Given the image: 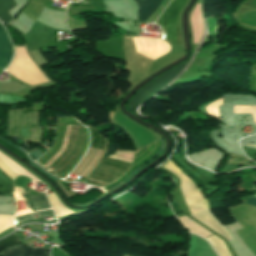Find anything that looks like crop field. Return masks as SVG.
<instances>
[{
  "mask_svg": "<svg viewBox=\"0 0 256 256\" xmlns=\"http://www.w3.org/2000/svg\"><path fill=\"white\" fill-rule=\"evenodd\" d=\"M191 235L189 256H217L208 242L198 236Z\"/></svg>",
  "mask_w": 256,
  "mask_h": 256,
  "instance_id": "obj_2",
  "label": "crop field"
},
{
  "mask_svg": "<svg viewBox=\"0 0 256 256\" xmlns=\"http://www.w3.org/2000/svg\"><path fill=\"white\" fill-rule=\"evenodd\" d=\"M234 113H251L256 122V107L253 106H235Z\"/></svg>",
  "mask_w": 256,
  "mask_h": 256,
  "instance_id": "obj_12",
  "label": "crop field"
},
{
  "mask_svg": "<svg viewBox=\"0 0 256 256\" xmlns=\"http://www.w3.org/2000/svg\"><path fill=\"white\" fill-rule=\"evenodd\" d=\"M11 57V47L9 40L0 25V67L5 68Z\"/></svg>",
  "mask_w": 256,
  "mask_h": 256,
  "instance_id": "obj_6",
  "label": "crop field"
},
{
  "mask_svg": "<svg viewBox=\"0 0 256 256\" xmlns=\"http://www.w3.org/2000/svg\"><path fill=\"white\" fill-rule=\"evenodd\" d=\"M7 11L10 10L12 7H14L16 3L14 0H2ZM2 1L0 0V21L5 22L6 24L10 22L12 19L8 12L6 11Z\"/></svg>",
  "mask_w": 256,
  "mask_h": 256,
  "instance_id": "obj_7",
  "label": "crop field"
},
{
  "mask_svg": "<svg viewBox=\"0 0 256 256\" xmlns=\"http://www.w3.org/2000/svg\"><path fill=\"white\" fill-rule=\"evenodd\" d=\"M186 0H172L167 9L161 15L156 23L162 29H166V40L180 44V36L178 30V15L185 5Z\"/></svg>",
  "mask_w": 256,
  "mask_h": 256,
  "instance_id": "obj_1",
  "label": "crop field"
},
{
  "mask_svg": "<svg viewBox=\"0 0 256 256\" xmlns=\"http://www.w3.org/2000/svg\"><path fill=\"white\" fill-rule=\"evenodd\" d=\"M18 243H21V242L14 233L11 236H9V237L0 241V252L3 249L8 248V247L13 246V245H16Z\"/></svg>",
  "mask_w": 256,
  "mask_h": 256,
  "instance_id": "obj_11",
  "label": "crop field"
},
{
  "mask_svg": "<svg viewBox=\"0 0 256 256\" xmlns=\"http://www.w3.org/2000/svg\"><path fill=\"white\" fill-rule=\"evenodd\" d=\"M36 215H38V217L54 216L53 210H50V211H44V212H39V213H30V214H26V215L17 216V217H15V220H16V222L20 223V222L27 221L30 219H35L34 216H36Z\"/></svg>",
  "mask_w": 256,
  "mask_h": 256,
  "instance_id": "obj_10",
  "label": "crop field"
},
{
  "mask_svg": "<svg viewBox=\"0 0 256 256\" xmlns=\"http://www.w3.org/2000/svg\"><path fill=\"white\" fill-rule=\"evenodd\" d=\"M247 146H251V147H255L256 148V146H253V145H249V144H246Z\"/></svg>",
  "mask_w": 256,
  "mask_h": 256,
  "instance_id": "obj_15",
  "label": "crop field"
},
{
  "mask_svg": "<svg viewBox=\"0 0 256 256\" xmlns=\"http://www.w3.org/2000/svg\"><path fill=\"white\" fill-rule=\"evenodd\" d=\"M138 10H137V20L144 21L147 19L152 12L155 10V8L158 6V4L161 2V0H132Z\"/></svg>",
  "mask_w": 256,
  "mask_h": 256,
  "instance_id": "obj_5",
  "label": "crop field"
},
{
  "mask_svg": "<svg viewBox=\"0 0 256 256\" xmlns=\"http://www.w3.org/2000/svg\"><path fill=\"white\" fill-rule=\"evenodd\" d=\"M29 197H30L36 211L51 208L49 206L48 201L44 194L43 195H33V196H29Z\"/></svg>",
  "mask_w": 256,
  "mask_h": 256,
  "instance_id": "obj_8",
  "label": "crop field"
},
{
  "mask_svg": "<svg viewBox=\"0 0 256 256\" xmlns=\"http://www.w3.org/2000/svg\"><path fill=\"white\" fill-rule=\"evenodd\" d=\"M151 95L147 94L146 92L140 90L137 92L132 100L129 102V108L134 111V109L140 105L141 103L145 102Z\"/></svg>",
  "mask_w": 256,
  "mask_h": 256,
  "instance_id": "obj_9",
  "label": "crop field"
},
{
  "mask_svg": "<svg viewBox=\"0 0 256 256\" xmlns=\"http://www.w3.org/2000/svg\"><path fill=\"white\" fill-rule=\"evenodd\" d=\"M250 88L256 91V71H252Z\"/></svg>",
  "mask_w": 256,
  "mask_h": 256,
  "instance_id": "obj_13",
  "label": "crop field"
},
{
  "mask_svg": "<svg viewBox=\"0 0 256 256\" xmlns=\"http://www.w3.org/2000/svg\"><path fill=\"white\" fill-rule=\"evenodd\" d=\"M245 203L250 204V205L256 207V196H254L251 199L247 200Z\"/></svg>",
  "mask_w": 256,
  "mask_h": 256,
  "instance_id": "obj_14",
  "label": "crop field"
},
{
  "mask_svg": "<svg viewBox=\"0 0 256 256\" xmlns=\"http://www.w3.org/2000/svg\"><path fill=\"white\" fill-rule=\"evenodd\" d=\"M50 248H29L21 245L3 251L2 256H49Z\"/></svg>",
  "mask_w": 256,
  "mask_h": 256,
  "instance_id": "obj_3",
  "label": "crop field"
},
{
  "mask_svg": "<svg viewBox=\"0 0 256 256\" xmlns=\"http://www.w3.org/2000/svg\"><path fill=\"white\" fill-rule=\"evenodd\" d=\"M185 65L186 64H183V65L171 70L170 72L164 74L163 76L159 77L155 81H153L150 84H148L147 86H145L143 89L148 91L151 94H154L159 89H161L164 85H166L168 82H170L184 68Z\"/></svg>",
  "mask_w": 256,
  "mask_h": 256,
  "instance_id": "obj_4",
  "label": "crop field"
}]
</instances>
